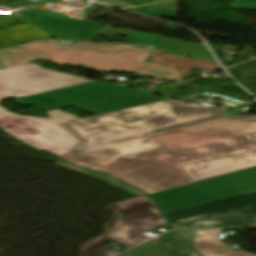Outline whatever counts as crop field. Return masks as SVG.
Returning <instances> with one entry per match:
<instances>
[{
  "mask_svg": "<svg viewBox=\"0 0 256 256\" xmlns=\"http://www.w3.org/2000/svg\"><path fill=\"white\" fill-rule=\"evenodd\" d=\"M167 99L61 124L82 141L62 159L112 174L168 212L256 189V166L193 183L181 166L256 150V116Z\"/></svg>",
  "mask_w": 256,
  "mask_h": 256,
  "instance_id": "1",
  "label": "crop field"
},
{
  "mask_svg": "<svg viewBox=\"0 0 256 256\" xmlns=\"http://www.w3.org/2000/svg\"><path fill=\"white\" fill-rule=\"evenodd\" d=\"M154 48L165 53L213 61L205 46L163 37L157 46L75 42L61 44L47 38L0 50V103L26 96L18 105H35L52 118L41 119L8 112L0 107V128L20 142L59 158L81 143L60 124L78 118L59 111L69 106L96 115L167 98L142 94L121 86L53 72L29 60L112 70L181 82L180 72L146 62ZM106 99V101H102Z\"/></svg>",
  "mask_w": 256,
  "mask_h": 256,
  "instance_id": "2",
  "label": "crop field"
},
{
  "mask_svg": "<svg viewBox=\"0 0 256 256\" xmlns=\"http://www.w3.org/2000/svg\"><path fill=\"white\" fill-rule=\"evenodd\" d=\"M122 213L115 228L81 245L80 256H114L120 252L104 245L115 242L124 249H129L149 238L141 234L166 222L160 216L153 203L145 196L110 204Z\"/></svg>",
  "mask_w": 256,
  "mask_h": 256,
  "instance_id": "3",
  "label": "crop field"
},
{
  "mask_svg": "<svg viewBox=\"0 0 256 256\" xmlns=\"http://www.w3.org/2000/svg\"><path fill=\"white\" fill-rule=\"evenodd\" d=\"M180 229L256 227V190L164 213Z\"/></svg>",
  "mask_w": 256,
  "mask_h": 256,
  "instance_id": "4",
  "label": "crop field"
},
{
  "mask_svg": "<svg viewBox=\"0 0 256 256\" xmlns=\"http://www.w3.org/2000/svg\"><path fill=\"white\" fill-rule=\"evenodd\" d=\"M102 25L80 20L43 30H0V49L46 37L83 40L99 34ZM0 68L3 66L0 64Z\"/></svg>",
  "mask_w": 256,
  "mask_h": 256,
  "instance_id": "5",
  "label": "crop field"
},
{
  "mask_svg": "<svg viewBox=\"0 0 256 256\" xmlns=\"http://www.w3.org/2000/svg\"><path fill=\"white\" fill-rule=\"evenodd\" d=\"M253 135L256 136V133ZM256 165V151L184 166V170L195 181L233 172Z\"/></svg>",
  "mask_w": 256,
  "mask_h": 256,
  "instance_id": "6",
  "label": "crop field"
},
{
  "mask_svg": "<svg viewBox=\"0 0 256 256\" xmlns=\"http://www.w3.org/2000/svg\"><path fill=\"white\" fill-rule=\"evenodd\" d=\"M75 20L40 9H21L13 15L0 14V29H43Z\"/></svg>",
  "mask_w": 256,
  "mask_h": 256,
  "instance_id": "7",
  "label": "crop field"
},
{
  "mask_svg": "<svg viewBox=\"0 0 256 256\" xmlns=\"http://www.w3.org/2000/svg\"><path fill=\"white\" fill-rule=\"evenodd\" d=\"M191 248L173 231L119 256H190Z\"/></svg>",
  "mask_w": 256,
  "mask_h": 256,
  "instance_id": "8",
  "label": "crop field"
},
{
  "mask_svg": "<svg viewBox=\"0 0 256 256\" xmlns=\"http://www.w3.org/2000/svg\"><path fill=\"white\" fill-rule=\"evenodd\" d=\"M222 230L195 231L194 248L203 256H253L241 251L234 252L218 241Z\"/></svg>",
  "mask_w": 256,
  "mask_h": 256,
  "instance_id": "9",
  "label": "crop field"
},
{
  "mask_svg": "<svg viewBox=\"0 0 256 256\" xmlns=\"http://www.w3.org/2000/svg\"><path fill=\"white\" fill-rule=\"evenodd\" d=\"M54 166H58V167H61V168H65V169H68V170H71V171H75V172H78V173H82V174H85V175H88V176H91V177H94L98 180H101L105 183H108L122 191H124L125 193L133 196V197H136V196H140L142 194H145L139 190H136L110 176H107V175H103V174H100V173H97V172H94V171H91V170H88V169H85V168H82V167H78V166H75V165H71V164H68V163H65L63 161H60L58 160L57 162H55L54 164H52Z\"/></svg>",
  "mask_w": 256,
  "mask_h": 256,
  "instance_id": "10",
  "label": "crop field"
},
{
  "mask_svg": "<svg viewBox=\"0 0 256 256\" xmlns=\"http://www.w3.org/2000/svg\"><path fill=\"white\" fill-rule=\"evenodd\" d=\"M129 9L139 11L150 16H157V17L174 18L176 14L174 11L160 9L156 6H143V7H137V8H129Z\"/></svg>",
  "mask_w": 256,
  "mask_h": 256,
  "instance_id": "11",
  "label": "crop field"
},
{
  "mask_svg": "<svg viewBox=\"0 0 256 256\" xmlns=\"http://www.w3.org/2000/svg\"><path fill=\"white\" fill-rule=\"evenodd\" d=\"M105 3L121 6V7H129V6H138L143 4H148L161 0H99Z\"/></svg>",
  "mask_w": 256,
  "mask_h": 256,
  "instance_id": "12",
  "label": "crop field"
},
{
  "mask_svg": "<svg viewBox=\"0 0 256 256\" xmlns=\"http://www.w3.org/2000/svg\"><path fill=\"white\" fill-rule=\"evenodd\" d=\"M230 8L256 10V0H237Z\"/></svg>",
  "mask_w": 256,
  "mask_h": 256,
  "instance_id": "13",
  "label": "crop field"
},
{
  "mask_svg": "<svg viewBox=\"0 0 256 256\" xmlns=\"http://www.w3.org/2000/svg\"><path fill=\"white\" fill-rule=\"evenodd\" d=\"M179 235H181L185 240H187L191 245H193V236L194 232L190 231H176Z\"/></svg>",
  "mask_w": 256,
  "mask_h": 256,
  "instance_id": "14",
  "label": "crop field"
},
{
  "mask_svg": "<svg viewBox=\"0 0 256 256\" xmlns=\"http://www.w3.org/2000/svg\"><path fill=\"white\" fill-rule=\"evenodd\" d=\"M192 256H198L195 252H192Z\"/></svg>",
  "mask_w": 256,
  "mask_h": 256,
  "instance_id": "15",
  "label": "crop field"
}]
</instances>
